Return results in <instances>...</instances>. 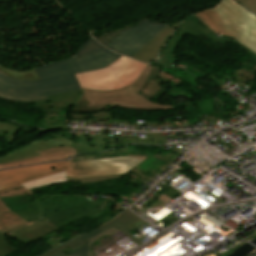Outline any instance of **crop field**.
<instances>
[{
	"mask_svg": "<svg viewBox=\"0 0 256 256\" xmlns=\"http://www.w3.org/2000/svg\"><path fill=\"white\" fill-rule=\"evenodd\" d=\"M56 230L57 228L51 222L42 217L6 234L27 245Z\"/></svg>",
	"mask_w": 256,
	"mask_h": 256,
	"instance_id": "obj_11",
	"label": "crop field"
},
{
	"mask_svg": "<svg viewBox=\"0 0 256 256\" xmlns=\"http://www.w3.org/2000/svg\"><path fill=\"white\" fill-rule=\"evenodd\" d=\"M3 202L6 204L7 208L16 212L28 207H31L22 196L19 197H11V198H1ZM13 212V213H14Z\"/></svg>",
	"mask_w": 256,
	"mask_h": 256,
	"instance_id": "obj_23",
	"label": "crop field"
},
{
	"mask_svg": "<svg viewBox=\"0 0 256 256\" xmlns=\"http://www.w3.org/2000/svg\"><path fill=\"white\" fill-rule=\"evenodd\" d=\"M24 197V196H23ZM98 196H43L38 199L24 197L40 214L50 220L58 229L88 216L91 220L107 213L115 199Z\"/></svg>",
	"mask_w": 256,
	"mask_h": 256,
	"instance_id": "obj_3",
	"label": "crop field"
},
{
	"mask_svg": "<svg viewBox=\"0 0 256 256\" xmlns=\"http://www.w3.org/2000/svg\"><path fill=\"white\" fill-rule=\"evenodd\" d=\"M84 99L89 101L90 107H99L100 111L107 110L112 106H119L122 108L136 109V110H155V109H172L171 105H159L154 102L148 101L138 93L133 94L126 98H90Z\"/></svg>",
	"mask_w": 256,
	"mask_h": 256,
	"instance_id": "obj_9",
	"label": "crop field"
},
{
	"mask_svg": "<svg viewBox=\"0 0 256 256\" xmlns=\"http://www.w3.org/2000/svg\"><path fill=\"white\" fill-rule=\"evenodd\" d=\"M254 72H256V66L254 67V70L251 71H245L239 75H237L236 77H234L233 79L238 82V81H242L243 79H245L246 77L250 76L251 74H253Z\"/></svg>",
	"mask_w": 256,
	"mask_h": 256,
	"instance_id": "obj_33",
	"label": "crop field"
},
{
	"mask_svg": "<svg viewBox=\"0 0 256 256\" xmlns=\"http://www.w3.org/2000/svg\"><path fill=\"white\" fill-rule=\"evenodd\" d=\"M160 191L163 192L164 194H166L171 199L174 198L175 196H177L179 193H181L169 185L164 187Z\"/></svg>",
	"mask_w": 256,
	"mask_h": 256,
	"instance_id": "obj_31",
	"label": "crop field"
},
{
	"mask_svg": "<svg viewBox=\"0 0 256 256\" xmlns=\"http://www.w3.org/2000/svg\"><path fill=\"white\" fill-rule=\"evenodd\" d=\"M167 25L144 19L132 27L118 29L95 38L115 52L131 57Z\"/></svg>",
	"mask_w": 256,
	"mask_h": 256,
	"instance_id": "obj_6",
	"label": "crop field"
},
{
	"mask_svg": "<svg viewBox=\"0 0 256 256\" xmlns=\"http://www.w3.org/2000/svg\"><path fill=\"white\" fill-rule=\"evenodd\" d=\"M210 28L235 38L256 53V16L234 0L196 14Z\"/></svg>",
	"mask_w": 256,
	"mask_h": 256,
	"instance_id": "obj_4",
	"label": "crop field"
},
{
	"mask_svg": "<svg viewBox=\"0 0 256 256\" xmlns=\"http://www.w3.org/2000/svg\"><path fill=\"white\" fill-rule=\"evenodd\" d=\"M214 31L209 29L208 27L203 26L198 22V20L195 18L194 15L189 17L188 19L184 20L182 26L170 37V39L167 41L165 47L160 53V63L159 65L165 66V67H170V64H173L176 62L173 52L177 45L180 43V41L183 39L186 33L192 34L195 36H198L203 33L210 37L212 41H224V40H229L232 41L233 43L241 46L245 51L250 53L252 57L256 59V54L250 51L249 49L245 48L241 44H239L235 39L230 38L226 36L224 39L220 37H216L215 34H213ZM175 66V65H174Z\"/></svg>",
	"mask_w": 256,
	"mask_h": 256,
	"instance_id": "obj_8",
	"label": "crop field"
},
{
	"mask_svg": "<svg viewBox=\"0 0 256 256\" xmlns=\"http://www.w3.org/2000/svg\"><path fill=\"white\" fill-rule=\"evenodd\" d=\"M129 155H142V156H149L152 154L149 153H141V152H130L129 147H124L121 149L100 153V154H86L83 156L76 157L71 159L72 162L87 160V159H100V158H109V157H121V156H129Z\"/></svg>",
	"mask_w": 256,
	"mask_h": 256,
	"instance_id": "obj_20",
	"label": "crop field"
},
{
	"mask_svg": "<svg viewBox=\"0 0 256 256\" xmlns=\"http://www.w3.org/2000/svg\"><path fill=\"white\" fill-rule=\"evenodd\" d=\"M120 57L90 38L76 57L34 68L41 79L39 81L15 80L0 70V97L10 101L33 102L47 100L49 95L77 90L80 86L75 73L106 68Z\"/></svg>",
	"mask_w": 256,
	"mask_h": 256,
	"instance_id": "obj_1",
	"label": "crop field"
},
{
	"mask_svg": "<svg viewBox=\"0 0 256 256\" xmlns=\"http://www.w3.org/2000/svg\"><path fill=\"white\" fill-rule=\"evenodd\" d=\"M146 157L130 156L122 158H109L88 160L70 163V161L31 165L0 171V191L46 177L66 170L67 177H85L96 175L127 173L132 167Z\"/></svg>",
	"mask_w": 256,
	"mask_h": 256,
	"instance_id": "obj_2",
	"label": "crop field"
},
{
	"mask_svg": "<svg viewBox=\"0 0 256 256\" xmlns=\"http://www.w3.org/2000/svg\"><path fill=\"white\" fill-rule=\"evenodd\" d=\"M256 74L251 75L250 77H248L247 79H245L244 81L247 82L248 84L253 85L254 84V80H255Z\"/></svg>",
	"mask_w": 256,
	"mask_h": 256,
	"instance_id": "obj_36",
	"label": "crop field"
},
{
	"mask_svg": "<svg viewBox=\"0 0 256 256\" xmlns=\"http://www.w3.org/2000/svg\"><path fill=\"white\" fill-rule=\"evenodd\" d=\"M21 187V185H19V186H16V187H13V188H10V189H7V190H4V191H1L0 192V194H2V193H4V192H9V191H11V190H13V189H16V188H20ZM6 208V206L4 205V203L1 201V199H0V210L1 209H5Z\"/></svg>",
	"mask_w": 256,
	"mask_h": 256,
	"instance_id": "obj_35",
	"label": "crop field"
},
{
	"mask_svg": "<svg viewBox=\"0 0 256 256\" xmlns=\"http://www.w3.org/2000/svg\"><path fill=\"white\" fill-rule=\"evenodd\" d=\"M244 6H246L248 9L256 13V0H237Z\"/></svg>",
	"mask_w": 256,
	"mask_h": 256,
	"instance_id": "obj_32",
	"label": "crop field"
},
{
	"mask_svg": "<svg viewBox=\"0 0 256 256\" xmlns=\"http://www.w3.org/2000/svg\"><path fill=\"white\" fill-rule=\"evenodd\" d=\"M85 152L86 151L77 149L75 147H58V148H53L46 151H40L39 152L40 156H37V157L10 162L6 164H1L0 169L12 167V166H22V165L32 164V163L67 159L79 153H85Z\"/></svg>",
	"mask_w": 256,
	"mask_h": 256,
	"instance_id": "obj_12",
	"label": "crop field"
},
{
	"mask_svg": "<svg viewBox=\"0 0 256 256\" xmlns=\"http://www.w3.org/2000/svg\"><path fill=\"white\" fill-rule=\"evenodd\" d=\"M127 174L120 175H108V176H96V177H86V178H67L68 182L81 181V183L119 179L125 177Z\"/></svg>",
	"mask_w": 256,
	"mask_h": 256,
	"instance_id": "obj_25",
	"label": "crop field"
},
{
	"mask_svg": "<svg viewBox=\"0 0 256 256\" xmlns=\"http://www.w3.org/2000/svg\"><path fill=\"white\" fill-rule=\"evenodd\" d=\"M27 224L23 219L12 211L6 209L0 211V232L5 233L17 227Z\"/></svg>",
	"mask_w": 256,
	"mask_h": 256,
	"instance_id": "obj_19",
	"label": "crop field"
},
{
	"mask_svg": "<svg viewBox=\"0 0 256 256\" xmlns=\"http://www.w3.org/2000/svg\"><path fill=\"white\" fill-rule=\"evenodd\" d=\"M17 250L7 242L5 235L0 234V256H8Z\"/></svg>",
	"mask_w": 256,
	"mask_h": 256,
	"instance_id": "obj_26",
	"label": "crop field"
},
{
	"mask_svg": "<svg viewBox=\"0 0 256 256\" xmlns=\"http://www.w3.org/2000/svg\"><path fill=\"white\" fill-rule=\"evenodd\" d=\"M81 91H73L47 97V101L34 102L36 108H42L43 113L50 112L43 117L37 127L50 130L67 128L66 110L68 105L75 104L80 99Z\"/></svg>",
	"mask_w": 256,
	"mask_h": 256,
	"instance_id": "obj_7",
	"label": "crop field"
},
{
	"mask_svg": "<svg viewBox=\"0 0 256 256\" xmlns=\"http://www.w3.org/2000/svg\"><path fill=\"white\" fill-rule=\"evenodd\" d=\"M87 105H88V102L83 100V90H82L81 99L74 105L76 107L74 111L77 113L99 111L98 108H90V107H87Z\"/></svg>",
	"mask_w": 256,
	"mask_h": 256,
	"instance_id": "obj_28",
	"label": "crop field"
},
{
	"mask_svg": "<svg viewBox=\"0 0 256 256\" xmlns=\"http://www.w3.org/2000/svg\"><path fill=\"white\" fill-rule=\"evenodd\" d=\"M16 214H18L20 217H22L25 221H27L28 223L42 217V215H40L35 209H33L32 207L29 209H25L19 212H16Z\"/></svg>",
	"mask_w": 256,
	"mask_h": 256,
	"instance_id": "obj_27",
	"label": "crop field"
},
{
	"mask_svg": "<svg viewBox=\"0 0 256 256\" xmlns=\"http://www.w3.org/2000/svg\"><path fill=\"white\" fill-rule=\"evenodd\" d=\"M145 223L147 222L132 214L129 209H126L119 213L112 221L100 226V228L104 231L107 228L115 225L140 246L143 243L136 239L130 232L142 226Z\"/></svg>",
	"mask_w": 256,
	"mask_h": 256,
	"instance_id": "obj_15",
	"label": "crop field"
},
{
	"mask_svg": "<svg viewBox=\"0 0 256 256\" xmlns=\"http://www.w3.org/2000/svg\"><path fill=\"white\" fill-rule=\"evenodd\" d=\"M0 68L2 69V71L4 73H6L7 75H9L12 78L27 79V80H38L39 79L38 76L33 71V69L26 71V72H17V71L5 69L1 66H0Z\"/></svg>",
	"mask_w": 256,
	"mask_h": 256,
	"instance_id": "obj_24",
	"label": "crop field"
},
{
	"mask_svg": "<svg viewBox=\"0 0 256 256\" xmlns=\"http://www.w3.org/2000/svg\"><path fill=\"white\" fill-rule=\"evenodd\" d=\"M152 65H148L139 79L132 85L120 91H112V92H97V91H88L84 90V95L91 97H125L130 94L138 92L143 85L145 84L150 71L152 69Z\"/></svg>",
	"mask_w": 256,
	"mask_h": 256,
	"instance_id": "obj_16",
	"label": "crop field"
},
{
	"mask_svg": "<svg viewBox=\"0 0 256 256\" xmlns=\"http://www.w3.org/2000/svg\"><path fill=\"white\" fill-rule=\"evenodd\" d=\"M0 137H4L8 142L5 144L6 146L9 145L10 143L14 142L15 140L19 139L18 137H13V136H10L4 132H1L0 131Z\"/></svg>",
	"mask_w": 256,
	"mask_h": 256,
	"instance_id": "obj_34",
	"label": "crop field"
},
{
	"mask_svg": "<svg viewBox=\"0 0 256 256\" xmlns=\"http://www.w3.org/2000/svg\"><path fill=\"white\" fill-rule=\"evenodd\" d=\"M128 176H130V177H132V178H134V179H136V180H138V181H140V180H142V179H145V178H142V177H140V176H138V175H136V174H134V173H132V172H130L129 171V173H128ZM146 180V179H145Z\"/></svg>",
	"mask_w": 256,
	"mask_h": 256,
	"instance_id": "obj_37",
	"label": "crop field"
},
{
	"mask_svg": "<svg viewBox=\"0 0 256 256\" xmlns=\"http://www.w3.org/2000/svg\"><path fill=\"white\" fill-rule=\"evenodd\" d=\"M64 182H67L65 171L56 175H52L26 184H22V187H26L27 189H36Z\"/></svg>",
	"mask_w": 256,
	"mask_h": 256,
	"instance_id": "obj_21",
	"label": "crop field"
},
{
	"mask_svg": "<svg viewBox=\"0 0 256 256\" xmlns=\"http://www.w3.org/2000/svg\"><path fill=\"white\" fill-rule=\"evenodd\" d=\"M159 69L160 67L154 66L146 84L138 92L150 101H153L154 99L158 98L166 91V89L163 88L157 80Z\"/></svg>",
	"mask_w": 256,
	"mask_h": 256,
	"instance_id": "obj_17",
	"label": "crop field"
},
{
	"mask_svg": "<svg viewBox=\"0 0 256 256\" xmlns=\"http://www.w3.org/2000/svg\"><path fill=\"white\" fill-rule=\"evenodd\" d=\"M28 194H35V192L34 190H27L25 188H21V189L11 191L9 193H4L0 195V197H11V196L28 195Z\"/></svg>",
	"mask_w": 256,
	"mask_h": 256,
	"instance_id": "obj_30",
	"label": "crop field"
},
{
	"mask_svg": "<svg viewBox=\"0 0 256 256\" xmlns=\"http://www.w3.org/2000/svg\"><path fill=\"white\" fill-rule=\"evenodd\" d=\"M146 64L122 56L106 69L76 74L83 88L112 90L123 88L135 81Z\"/></svg>",
	"mask_w": 256,
	"mask_h": 256,
	"instance_id": "obj_5",
	"label": "crop field"
},
{
	"mask_svg": "<svg viewBox=\"0 0 256 256\" xmlns=\"http://www.w3.org/2000/svg\"><path fill=\"white\" fill-rule=\"evenodd\" d=\"M20 129H23V130H27V131H31L32 129H26V128H17V127H14L12 125H9V124H4V123H0V130L1 131H5L11 135H16L17 132L20 130Z\"/></svg>",
	"mask_w": 256,
	"mask_h": 256,
	"instance_id": "obj_29",
	"label": "crop field"
},
{
	"mask_svg": "<svg viewBox=\"0 0 256 256\" xmlns=\"http://www.w3.org/2000/svg\"><path fill=\"white\" fill-rule=\"evenodd\" d=\"M58 146H75V147L81 148L83 150H87L89 152L104 151V149L93 148V147H89V146H85V145L75 144L71 140H68V139H60V138L51 139V140H47L43 143L40 140H38V141L32 142L29 145L19 148L10 154L0 157V164L10 162V161L19 160V159H24V158H28V157L37 156L38 155L37 151L46 150V149H50L52 147H58Z\"/></svg>",
	"mask_w": 256,
	"mask_h": 256,
	"instance_id": "obj_10",
	"label": "crop field"
},
{
	"mask_svg": "<svg viewBox=\"0 0 256 256\" xmlns=\"http://www.w3.org/2000/svg\"><path fill=\"white\" fill-rule=\"evenodd\" d=\"M119 231V229L115 226L109 228L107 231L103 232L99 227L88 232L87 234L79 237L86 244L82 247L75 250L73 253L69 254V256H89V244L92 243L97 238L103 235H110Z\"/></svg>",
	"mask_w": 256,
	"mask_h": 256,
	"instance_id": "obj_18",
	"label": "crop field"
},
{
	"mask_svg": "<svg viewBox=\"0 0 256 256\" xmlns=\"http://www.w3.org/2000/svg\"><path fill=\"white\" fill-rule=\"evenodd\" d=\"M83 244H85L84 242H82L79 238L68 242L60 247H57L41 256H67L65 253L68 251H74L75 249H77L78 247L82 246Z\"/></svg>",
	"mask_w": 256,
	"mask_h": 256,
	"instance_id": "obj_22",
	"label": "crop field"
},
{
	"mask_svg": "<svg viewBox=\"0 0 256 256\" xmlns=\"http://www.w3.org/2000/svg\"><path fill=\"white\" fill-rule=\"evenodd\" d=\"M104 130L101 129L100 137L95 138V147L104 148L105 150L129 143L166 144V136L161 137V133H159V138H128L104 136Z\"/></svg>",
	"mask_w": 256,
	"mask_h": 256,
	"instance_id": "obj_14",
	"label": "crop field"
},
{
	"mask_svg": "<svg viewBox=\"0 0 256 256\" xmlns=\"http://www.w3.org/2000/svg\"><path fill=\"white\" fill-rule=\"evenodd\" d=\"M182 21L169 24L158 35H156L150 42H148L143 48H141L132 58L144 61L146 63L157 58V55L165 43L170 37L173 31L180 25Z\"/></svg>",
	"mask_w": 256,
	"mask_h": 256,
	"instance_id": "obj_13",
	"label": "crop field"
}]
</instances>
